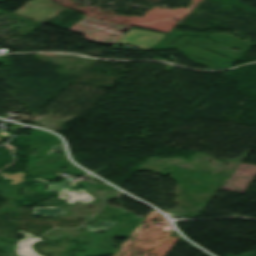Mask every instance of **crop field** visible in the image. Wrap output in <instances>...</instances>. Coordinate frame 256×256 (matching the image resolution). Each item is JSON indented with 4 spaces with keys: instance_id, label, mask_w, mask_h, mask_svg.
<instances>
[{
    "instance_id": "2",
    "label": "crop field",
    "mask_w": 256,
    "mask_h": 256,
    "mask_svg": "<svg viewBox=\"0 0 256 256\" xmlns=\"http://www.w3.org/2000/svg\"><path fill=\"white\" fill-rule=\"evenodd\" d=\"M37 182L43 183V184H48L51 190H46V191H51V192H58L59 199L65 200L68 203H81V202H90L93 201V197L89 196L88 193L84 192V189H78V190H73L71 189L72 186H69L64 183H59V182H47L44 179L41 178H33ZM62 194H69L72 195V197L65 196L62 198Z\"/></svg>"
},
{
    "instance_id": "5",
    "label": "crop field",
    "mask_w": 256,
    "mask_h": 256,
    "mask_svg": "<svg viewBox=\"0 0 256 256\" xmlns=\"http://www.w3.org/2000/svg\"><path fill=\"white\" fill-rule=\"evenodd\" d=\"M113 223L109 221H105L100 226H93V225H86L84 229L90 230V231H105L107 228H109Z\"/></svg>"
},
{
    "instance_id": "4",
    "label": "crop field",
    "mask_w": 256,
    "mask_h": 256,
    "mask_svg": "<svg viewBox=\"0 0 256 256\" xmlns=\"http://www.w3.org/2000/svg\"><path fill=\"white\" fill-rule=\"evenodd\" d=\"M34 216H56L64 214V211L60 207H37L33 208Z\"/></svg>"
},
{
    "instance_id": "6",
    "label": "crop field",
    "mask_w": 256,
    "mask_h": 256,
    "mask_svg": "<svg viewBox=\"0 0 256 256\" xmlns=\"http://www.w3.org/2000/svg\"><path fill=\"white\" fill-rule=\"evenodd\" d=\"M62 150V144L55 143L46 154H48L49 152H61Z\"/></svg>"
},
{
    "instance_id": "1",
    "label": "crop field",
    "mask_w": 256,
    "mask_h": 256,
    "mask_svg": "<svg viewBox=\"0 0 256 256\" xmlns=\"http://www.w3.org/2000/svg\"><path fill=\"white\" fill-rule=\"evenodd\" d=\"M162 36L161 33L131 29L116 44L134 45L141 50L148 51Z\"/></svg>"
},
{
    "instance_id": "3",
    "label": "crop field",
    "mask_w": 256,
    "mask_h": 256,
    "mask_svg": "<svg viewBox=\"0 0 256 256\" xmlns=\"http://www.w3.org/2000/svg\"><path fill=\"white\" fill-rule=\"evenodd\" d=\"M18 233L25 236V239L18 240L16 243L15 253L17 256H40L31 249V243L41 241L42 239L18 230Z\"/></svg>"
}]
</instances>
